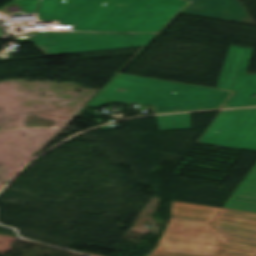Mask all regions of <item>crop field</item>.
<instances>
[{
    "label": "crop field",
    "mask_w": 256,
    "mask_h": 256,
    "mask_svg": "<svg viewBox=\"0 0 256 256\" xmlns=\"http://www.w3.org/2000/svg\"><path fill=\"white\" fill-rule=\"evenodd\" d=\"M40 21L56 20L74 31L136 35L35 32L48 56L147 45L188 4L183 0H13ZM102 3H106L102 6Z\"/></svg>",
    "instance_id": "crop-field-1"
},
{
    "label": "crop field",
    "mask_w": 256,
    "mask_h": 256,
    "mask_svg": "<svg viewBox=\"0 0 256 256\" xmlns=\"http://www.w3.org/2000/svg\"><path fill=\"white\" fill-rule=\"evenodd\" d=\"M256 213L220 208L213 221L171 217L149 256H254Z\"/></svg>",
    "instance_id": "crop-field-2"
},
{
    "label": "crop field",
    "mask_w": 256,
    "mask_h": 256,
    "mask_svg": "<svg viewBox=\"0 0 256 256\" xmlns=\"http://www.w3.org/2000/svg\"><path fill=\"white\" fill-rule=\"evenodd\" d=\"M199 142L256 151V108L221 111Z\"/></svg>",
    "instance_id": "crop-field-3"
},
{
    "label": "crop field",
    "mask_w": 256,
    "mask_h": 256,
    "mask_svg": "<svg viewBox=\"0 0 256 256\" xmlns=\"http://www.w3.org/2000/svg\"><path fill=\"white\" fill-rule=\"evenodd\" d=\"M179 83L119 74L101 92L130 98V103L154 105L155 114L174 112ZM126 93H117L119 88ZM172 91L176 94H172ZM138 97V99H137Z\"/></svg>",
    "instance_id": "crop-field-4"
},
{
    "label": "crop field",
    "mask_w": 256,
    "mask_h": 256,
    "mask_svg": "<svg viewBox=\"0 0 256 256\" xmlns=\"http://www.w3.org/2000/svg\"><path fill=\"white\" fill-rule=\"evenodd\" d=\"M252 50L230 47L217 88L236 92L224 108L256 106V74L246 72Z\"/></svg>",
    "instance_id": "crop-field-5"
},
{
    "label": "crop field",
    "mask_w": 256,
    "mask_h": 256,
    "mask_svg": "<svg viewBox=\"0 0 256 256\" xmlns=\"http://www.w3.org/2000/svg\"><path fill=\"white\" fill-rule=\"evenodd\" d=\"M233 92L180 83L175 112L222 107Z\"/></svg>",
    "instance_id": "crop-field-6"
},
{
    "label": "crop field",
    "mask_w": 256,
    "mask_h": 256,
    "mask_svg": "<svg viewBox=\"0 0 256 256\" xmlns=\"http://www.w3.org/2000/svg\"><path fill=\"white\" fill-rule=\"evenodd\" d=\"M192 2L184 15L254 24L238 0H187Z\"/></svg>",
    "instance_id": "crop-field-7"
},
{
    "label": "crop field",
    "mask_w": 256,
    "mask_h": 256,
    "mask_svg": "<svg viewBox=\"0 0 256 256\" xmlns=\"http://www.w3.org/2000/svg\"><path fill=\"white\" fill-rule=\"evenodd\" d=\"M160 130L190 128L189 114L157 116Z\"/></svg>",
    "instance_id": "crop-field-8"
},
{
    "label": "crop field",
    "mask_w": 256,
    "mask_h": 256,
    "mask_svg": "<svg viewBox=\"0 0 256 256\" xmlns=\"http://www.w3.org/2000/svg\"><path fill=\"white\" fill-rule=\"evenodd\" d=\"M107 102L129 103V99L99 93L87 106L100 107Z\"/></svg>",
    "instance_id": "crop-field-9"
},
{
    "label": "crop field",
    "mask_w": 256,
    "mask_h": 256,
    "mask_svg": "<svg viewBox=\"0 0 256 256\" xmlns=\"http://www.w3.org/2000/svg\"><path fill=\"white\" fill-rule=\"evenodd\" d=\"M0 36H1V33H0Z\"/></svg>",
    "instance_id": "crop-field-10"
}]
</instances>
